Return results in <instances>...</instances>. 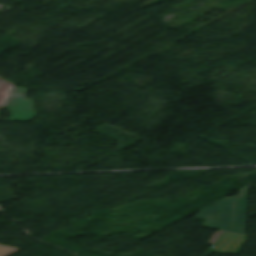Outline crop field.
Instances as JSON below:
<instances>
[{"instance_id":"8a807250","label":"crop field","mask_w":256,"mask_h":256,"mask_svg":"<svg viewBox=\"0 0 256 256\" xmlns=\"http://www.w3.org/2000/svg\"><path fill=\"white\" fill-rule=\"evenodd\" d=\"M248 186L241 189L239 198H225L201 211L197 217L205 218L202 227L221 230L209 241L213 245L222 231L245 234Z\"/></svg>"},{"instance_id":"ac0d7876","label":"crop field","mask_w":256,"mask_h":256,"mask_svg":"<svg viewBox=\"0 0 256 256\" xmlns=\"http://www.w3.org/2000/svg\"><path fill=\"white\" fill-rule=\"evenodd\" d=\"M27 92L28 90L22 87L13 88L5 105V107L12 112L8 121H30L36 116L33 101L29 99H24Z\"/></svg>"},{"instance_id":"34b2d1b8","label":"crop field","mask_w":256,"mask_h":256,"mask_svg":"<svg viewBox=\"0 0 256 256\" xmlns=\"http://www.w3.org/2000/svg\"><path fill=\"white\" fill-rule=\"evenodd\" d=\"M19 249H15V248H10V247H5V246H1L0 245V256H8L16 251H18Z\"/></svg>"}]
</instances>
